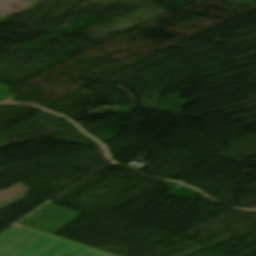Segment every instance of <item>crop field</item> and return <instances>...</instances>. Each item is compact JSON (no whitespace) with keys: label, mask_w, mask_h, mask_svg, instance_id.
Here are the masks:
<instances>
[{"label":"crop field","mask_w":256,"mask_h":256,"mask_svg":"<svg viewBox=\"0 0 256 256\" xmlns=\"http://www.w3.org/2000/svg\"><path fill=\"white\" fill-rule=\"evenodd\" d=\"M0 256L116 255L17 224L0 236Z\"/></svg>","instance_id":"crop-field-1"},{"label":"crop field","mask_w":256,"mask_h":256,"mask_svg":"<svg viewBox=\"0 0 256 256\" xmlns=\"http://www.w3.org/2000/svg\"><path fill=\"white\" fill-rule=\"evenodd\" d=\"M80 215L81 213L48 203L19 224L53 234Z\"/></svg>","instance_id":"crop-field-2"}]
</instances>
